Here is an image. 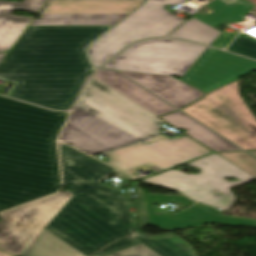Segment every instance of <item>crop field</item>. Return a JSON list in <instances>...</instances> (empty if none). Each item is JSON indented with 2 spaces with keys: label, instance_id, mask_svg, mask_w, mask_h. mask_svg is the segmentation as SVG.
<instances>
[{
  "label": "crop field",
  "instance_id": "8a807250",
  "mask_svg": "<svg viewBox=\"0 0 256 256\" xmlns=\"http://www.w3.org/2000/svg\"><path fill=\"white\" fill-rule=\"evenodd\" d=\"M64 186L74 197L46 227L86 256L138 230L130 194L100 182L110 174L132 178L59 142Z\"/></svg>",
  "mask_w": 256,
  "mask_h": 256
},
{
  "label": "crop field",
  "instance_id": "ac0d7876",
  "mask_svg": "<svg viewBox=\"0 0 256 256\" xmlns=\"http://www.w3.org/2000/svg\"><path fill=\"white\" fill-rule=\"evenodd\" d=\"M109 27H29L6 56L29 63L6 95L55 110L71 108L93 71L83 49Z\"/></svg>",
  "mask_w": 256,
  "mask_h": 256
},
{
  "label": "crop field",
  "instance_id": "34b2d1b8",
  "mask_svg": "<svg viewBox=\"0 0 256 256\" xmlns=\"http://www.w3.org/2000/svg\"><path fill=\"white\" fill-rule=\"evenodd\" d=\"M165 122L91 77L60 139L96 155L160 134Z\"/></svg>",
  "mask_w": 256,
  "mask_h": 256
},
{
  "label": "crop field",
  "instance_id": "412701ff",
  "mask_svg": "<svg viewBox=\"0 0 256 256\" xmlns=\"http://www.w3.org/2000/svg\"><path fill=\"white\" fill-rule=\"evenodd\" d=\"M5 98L0 97V173L60 184L55 140L68 113Z\"/></svg>",
  "mask_w": 256,
  "mask_h": 256
},
{
  "label": "crop field",
  "instance_id": "f4fd0767",
  "mask_svg": "<svg viewBox=\"0 0 256 256\" xmlns=\"http://www.w3.org/2000/svg\"><path fill=\"white\" fill-rule=\"evenodd\" d=\"M244 150H256V119L239 96L238 80L181 110Z\"/></svg>",
  "mask_w": 256,
  "mask_h": 256
},
{
  "label": "crop field",
  "instance_id": "dd49c442",
  "mask_svg": "<svg viewBox=\"0 0 256 256\" xmlns=\"http://www.w3.org/2000/svg\"><path fill=\"white\" fill-rule=\"evenodd\" d=\"M187 0H147L89 48L95 67H100L128 44L147 37L166 36L184 20L164 8Z\"/></svg>",
  "mask_w": 256,
  "mask_h": 256
},
{
  "label": "crop field",
  "instance_id": "e52e79f7",
  "mask_svg": "<svg viewBox=\"0 0 256 256\" xmlns=\"http://www.w3.org/2000/svg\"><path fill=\"white\" fill-rule=\"evenodd\" d=\"M207 47L170 39L132 45L104 68L181 77Z\"/></svg>",
  "mask_w": 256,
  "mask_h": 256
},
{
  "label": "crop field",
  "instance_id": "d8731c3e",
  "mask_svg": "<svg viewBox=\"0 0 256 256\" xmlns=\"http://www.w3.org/2000/svg\"><path fill=\"white\" fill-rule=\"evenodd\" d=\"M72 197L67 190L0 214V248L20 256Z\"/></svg>",
  "mask_w": 256,
  "mask_h": 256
},
{
  "label": "crop field",
  "instance_id": "5a996713",
  "mask_svg": "<svg viewBox=\"0 0 256 256\" xmlns=\"http://www.w3.org/2000/svg\"><path fill=\"white\" fill-rule=\"evenodd\" d=\"M142 1L49 0L31 26L113 25Z\"/></svg>",
  "mask_w": 256,
  "mask_h": 256
},
{
  "label": "crop field",
  "instance_id": "3316defc",
  "mask_svg": "<svg viewBox=\"0 0 256 256\" xmlns=\"http://www.w3.org/2000/svg\"><path fill=\"white\" fill-rule=\"evenodd\" d=\"M152 139L155 142H140L104 155L130 171L144 165L165 170L213 152L189 137L171 140L160 135Z\"/></svg>",
  "mask_w": 256,
  "mask_h": 256
},
{
  "label": "crop field",
  "instance_id": "28ad6ade",
  "mask_svg": "<svg viewBox=\"0 0 256 256\" xmlns=\"http://www.w3.org/2000/svg\"><path fill=\"white\" fill-rule=\"evenodd\" d=\"M254 70L255 61L209 48L181 80L207 93Z\"/></svg>",
  "mask_w": 256,
  "mask_h": 256
},
{
  "label": "crop field",
  "instance_id": "d1516ede",
  "mask_svg": "<svg viewBox=\"0 0 256 256\" xmlns=\"http://www.w3.org/2000/svg\"><path fill=\"white\" fill-rule=\"evenodd\" d=\"M178 109L188 105L204 93L168 76L119 71Z\"/></svg>",
  "mask_w": 256,
  "mask_h": 256
},
{
  "label": "crop field",
  "instance_id": "22f410ed",
  "mask_svg": "<svg viewBox=\"0 0 256 256\" xmlns=\"http://www.w3.org/2000/svg\"><path fill=\"white\" fill-rule=\"evenodd\" d=\"M48 0L0 1V52L9 50L33 20L11 15L15 9L40 13Z\"/></svg>",
  "mask_w": 256,
  "mask_h": 256
},
{
  "label": "crop field",
  "instance_id": "cbeb9de0",
  "mask_svg": "<svg viewBox=\"0 0 256 256\" xmlns=\"http://www.w3.org/2000/svg\"><path fill=\"white\" fill-rule=\"evenodd\" d=\"M58 184L0 174V211L57 192Z\"/></svg>",
  "mask_w": 256,
  "mask_h": 256
},
{
  "label": "crop field",
  "instance_id": "5142ce71",
  "mask_svg": "<svg viewBox=\"0 0 256 256\" xmlns=\"http://www.w3.org/2000/svg\"><path fill=\"white\" fill-rule=\"evenodd\" d=\"M93 77L130 98L157 116L177 111L163 100L115 71L100 70Z\"/></svg>",
  "mask_w": 256,
  "mask_h": 256
},
{
  "label": "crop field",
  "instance_id": "d9b57169",
  "mask_svg": "<svg viewBox=\"0 0 256 256\" xmlns=\"http://www.w3.org/2000/svg\"><path fill=\"white\" fill-rule=\"evenodd\" d=\"M134 237L143 241L147 246L152 248L161 256H197L188 243L173 233L163 236H147L142 232L134 234ZM140 244L133 237L118 240L117 242L107 246L103 251L94 256H105L107 254Z\"/></svg>",
  "mask_w": 256,
  "mask_h": 256
},
{
  "label": "crop field",
  "instance_id": "733c2abd",
  "mask_svg": "<svg viewBox=\"0 0 256 256\" xmlns=\"http://www.w3.org/2000/svg\"><path fill=\"white\" fill-rule=\"evenodd\" d=\"M160 118L177 128L186 130L188 135L215 152L240 150L180 111Z\"/></svg>",
  "mask_w": 256,
  "mask_h": 256
},
{
  "label": "crop field",
  "instance_id": "4a817a6b",
  "mask_svg": "<svg viewBox=\"0 0 256 256\" xmlns=\"http://www.w3.org/2000/svg\"><path fill=\"white\" fill-rule=\"evenodd\" d=\"M45 229L21 256H85Z\"/></svg>",
  "mask_w": 256,
  "mask_h": 256
},
{
  "label": "crop field",
  "instance_id": "bc2a9ffb",
  "mask_svg": "<svg viewBox=\"0 0 256 256\" xmlns=\"http://www.w3.org/2000/svg\"><path fill=\"white\" fill-rule=\"evenodd\" d=\"M222 32L192 18L170 37L193 40L210 45Z\"/></svg>",
  "mask_w": 256,
  "mask_h": 256
},
{
  "label": "crop field",
  "instance_id": "214f88e0",
  "mask_svg": "<svg viewBox=\"0 0 256 256\" xmlns=\"http://www.w3.org/2000/svg\"><path fill=\"white\" fill-rule=\"evenodd\" d=\"M235 165L256 177V159L244 152L218 153Z\"/></svg>",
  "mask_w": 256,
  "mask_h": 256
},
{
  "label": "crop field",
  "instance_id": "92a150f3",
  "mask_svg": "<svg viewBox=\"0 0 256 256\" xmlns=\"http://www.w3.org/2000/svg\"><path fill=\"white\" fill-rule=\"evenodd\" d=\"M26 66V63L5 58L0 64V80L14 83Z\"/></svg>",
  "mask_w": 256,
  "mask_h": 256
},
{
  "label": "crop field",
  "instance_id": "dafd665d",
  "mask_svg": "<svg viewBox=\"0 0 256 256\" xmlns=\"http://www.w3.org/2000/svg\"><path fill=\"white\" fill-rule=\"evenodd\" d=\"M243 0H240L236 6L227 5L221 0H214L208 6L213 10L209 16L225 23L234 12L241 6Z\"/></svg>",
  "mask_w": 256,
  "mask_h": 256
},
{
  "label": "crop field",
  "instance_id": "00972430",
  "mask_svg": "<svg viewBox=\"0 0 256 256\" xmlns=\"http://www.w3.org/2000/svg\"><path fill=\"white\" fill-rule=\"evenodd\" d=\"M228 50L256 58V39L241 34Z\"/></svg>",
  "mask_w": 256,
  "mask_h": 256
},
{
  "label": "crop field",
  "instance_id": "a9b5d70f",
  "mask_svg": "<svg viewBox=\"0 0 256 256\" xmlns=\"http://www.w3.org/2000/svg\"><path fill=\"white\" fill-rule=\"evenodd\" d=\"M108 256H160L145 244H140L129 249Z\"/></svg>",
  "mask_w": 256,
  "mask_h": 256
},
{
  "label": "crop field",
  "instance_id": "4177f3b9",
  "mask_svg": "<svg viewBox=\"0 0 256 256\" xmlns=\"http://www.w3.org/2000/svg\"><path fill=\"white\" fill-rule=\"evenodd\" d=\"M132 185L138 190V201H139L141 225H148L147 221H146L147 213H146L145 201H144L142 188L138 186L137 182L133 183Z\"/></svg>",
  "mask_w": 256,
  "mask_h": 256
},
{
  "label": "crop field",
  "instance_id": "730fd06b",
  "mask_svg": "<svg viewBox=\"0 0 256 256\" xmlns=\"http://www.w3.org/2000/svg\"><path fill=\"white\" fill-rule=\"evenodd\" d=\"M254 6L246 1L243 6L235 13V15L229 20L230 22L241 21Z\"/></svg>",
  "mask_w": 256,
  "mask_h": 256
},
{
  "label": "crop field",
  "instance_id": "eef30255",
  "mask_svg": "<svg viewBox=\"0 0 256 256\" xmlns=\"http://www.w3.org/2000/svg\"><path fill=\"white\" fill-rule=\"evenodd\" d=\"M239 32H235L233 35L224 32L213 44L212 46L225 48L238 34Z\"/></svg>",
  "mask_w": 256,
  "mask_h": 256
},
{
  "label": "crop field",
  "instance_id": "ae1a2a85",
  "mask_svg": "<svg viewBox=\"0 0 256 256\" xmlns=\"http://www.w3.org/2000/svg\"><path fill=\"white\" fill-rule=\"evenodd\" d=\"M194 18L213 26L214 28L222 24V23H219V22L209 18L208 16L196 15Z\"/></svg>",
  "mask_w": 256,
  "mask_h": 256
},
{
  "label": "crop field",
  "instance_id": "d3111659",
  "mask_svg": "<svg viewBox=\"0 0 256 256\" xmlns=\"http://www.w3.org/2000/svg\"><path fill=\"white\" fill-rule=\"evenodd\" d=\"M106 163H108V164H110V165H113V166H115V167H117V168H119V169H121V170H123V171H125V172H127V173H129L128 171H126L125 169H123L122 167H120L119 165H117L116 163H114L113 161H108V162H106ZM129 174H131V173H129ZM131 175H133V174H131ZM134 176V175H133Z\"/></svg>",
  "mask_w": 256,
  "mask_h": 256
},
{
  "label": "crop field",
  "instance_id": "750c4746",
  "mask_svg": "<svg viewBox=\"0 0 256 256\" xmlns=\"http://www.w3.org/2000/svg\"><path fill=\"white\" fill-rule=\"evenodd\" d=\"M6 53H7V52H4V53L0 54V63H1V61L3 60L4 56L6 55Z\"/></svg>",
  "mask_w": 256,
  "mask_h": 256
},
{
  "label": "crop field",
  "instance_id": "bd1437ed",
  "mask_svg": "<svg viewBox=\"0 0 256 256\" xmlns=\"http://www.w3.org/2000/svg\"><path fill=\"white\" fill-rule=\"evenodd\" d=\"M0 256H10V255H8V254H6V253L0 251Z\"/></svg>",
  "mask_w": 256,
  "mask_h": 256
},
{
  "label": "crop field",
  "instance_id": "1d83c4d3",
  "mask_svg": "<svg viewBox=\"0 0 256 256\" xmlns=\"http://www.w3.org/2000/svg\"><path fill=\"white\" fill-rule=\"evenodd\" d=\"M248 153H250V154L256 156V151H254V152H248Z\"/></svg>",
  "mask_w": 256,
  "mask_h": 256
}]
</instances>
